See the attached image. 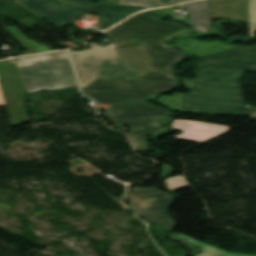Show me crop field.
Masks as SVG:
<instances>
[{
    "label": "crop field",
    "instance_id": "8a807250",
    "mask_svg": "<svg viewBox=\"0 0 256 256\" xmlns=\"http://www.w3.org/2000/svg\"><path fill=\"white\" fill-rule=\"evenodd\" d=\"M183 26L160 21L144 12L104 32L137 79L175 81L172 63L183 58L163 38Z\"/></svg>",
    "mask_w": 256,
    "mask_h": 256
},
{
    "label": "crop field",
    "instance_id": "e52e79f7",
    "mask_svg": "<svg viewBox=\"0 0 256 256\" xmlns=\"http://www.w3.org/2000/svg\"><path fill=\"white\" fill-rule=\"evenodd\" d=\"M91 50L71 52L76 72L81 82V89L99 78L136 79L112 44L102 48L93 43Z\"/></svg>",
    "mask_w": 256,
    "mask_h": 256
},
{
    "label": "crop field",
    "instance_id": "4a817a6b",
    "mask_svg": "<svg viewBox=\"0 0 256 256\" xmlns=\"http://www.w3.org/2000/svg\"><path fill=\"white\" fill-rule=\"evenodd\" d=\"M119 3L124 5L141 6L143 8H149L147 0H119Z\"/></svg>",
    "mask_w": 256,
    "mask_h": 256
},
{
    "label": "crop field",
    "instance_id": "dd49c442",
    "mask_svg": "<svg viewBox=\"0 0 256 256\" xmlns=\"http://www.w3.org/2000/svg\"><path fill=\"white\" fill-rule=\"evenodd\" d=\"M244 71L256 72V46L238 47L199 58V81L239 84Z\"/></svg>",
    "mask_w": 256,
    "mask_h": 256
},
{
    "label": "crop field",
    "instance_id": "d9b57169",
    "mask_svg": "<svg viewBox=\"0 0 256 256\" xmlns=\"http://www.w3.org/2000/svg\"><path fill=\"white\" fill-rule=\"evenodd\" d=\"M165 181L167 183L168 188L171 191L187 186L186 183L183 181V179L181 177L168 178Z\"/></svg>",
    "mask_w": 256,
    "mask_h": 256
},
{
    "label": "crop field",
    "instance_id": "22f410ed",
    "mask_svg": "<svg viewBox=\"0 0 256 256\" xmlns=\"http://www.w3.org/2000/svg\"><path fill=\"white\" fill-rule=\"evenodd\" d=\"M15 39H17L30 54L50 51L47 45H37L35 42L29 41L23 34H21L15 27L6 29Z\"/></svg>",
    "mask_w": 256,
    "mask_h": 256
},
{
    "label": "crop field",
    "instance_id": "bc2a9ffb",
    "mask_svg": "<svg viewBox=\"0 0 256 256\" xmlns=\"http://www.w3.org/2000/svg\"><path fill=\"white\" fill-rule=\"evenodd\" d=\"M151 12L156 15H174L172 11H166L165 9L152 10Z\"/></svg>",
    "mask_w": 256,
    "mask_h": 256
},
{
    "label": "crop field",
    "instance_id": "28ad6ade",
    "mask_svg": "<svg viewBox=\"0 0 256 256\" xmlns=\"http://www.w3.org/2000/svg\"><path fill=\"white\" fill-rule=\"evenodd\" d=\"M212 17L238 18L248 22L247 0H211Z\"/></svg>",
    "mask_w": 256,
    "mask_h": 256
},
{
    "label": "crop field",
    "instance_id": "412701ff",
    "mask_svg": "<svg viewBox=\"0 0 256 256\" xmlns=\"http://www.w3.org/2000/svg\"><path fill=\"white\" fill-rule=\"evenodd\" d=\"M26 94L78 86L66 51L16 59Z\"/></svg>",
    "mask_w": 256,
    "mask_h": 256
},
{
    "label": "crop field",
    "instance_id": "214f88e0",
    "mask_svg": "<svg viewBox=\"0 0 256 256\" xmlns=\"http://www.w3.org/2000/svg\"><path fill=\"white\" fill-rule=\"evenodd\" d=\"M169 171H170L169 165H168V164H165V165H163V167H162V173H161V175H164V174L168 173Z\"/></svg>",
    "mask_w": 256,
    "mask_h": 256
},
{
    "label": "crop field",
    "instance_id": "3316defc",
    "mask_svg": "<svg viewBox=\"0 0 256 256\" xmlns=\"http://www.w3.org/2000/svg\"><path fill=\"white\" fill-rule=\"evenodd\" d=\"M182 6L188 12L186 16L187 24L193 26L197 32L202 34L209 32L222 34L212 28L210 0H201Z\"/></svg>",
    "mask_w": 256,
    "mask_h": 256
},
{
    "label": "crop field",
    "instance_id": "92a150f3",
    "mask_svg": "<svg viewBox=\"0 0 256 256\" xmlns=\"http://www.w3.org/2000/svg\"><path fill=\"white\" fill-rule=\"evenodd\" d=\"M1 106H6V105H5V101H4L3 94L0 87V107Z\"/></svg>",
    "mask_w": 256,
    "mask_h": 256
},
{
    "label": "crop field",
    "instance_id": "5a996713",
    "mask_svg": "<svg viewBox=\"0 0 256 256\" xmlns=\"http://www.w3.org/2000/svg\"><path fill=\"white\" fill-rule=\"evenodd\" d=\"M172 126L174 129L185 131L184 133L176 136V139L195 142L208 140L230 129L226 126L183 120H174Z\"/></svg>",
    "mask_w": 256,
    "mask_h": 256
},
{
    "label": "crop field",
    "instance_id": "d8731c3e",
    "mask_svg": "<svg viewBox=\"0 0 256 256\" xmlns=\"http://www.w3.org/2000/svg\"><path fill=\"white\" fill-rule=\"evenodd\" d=\"M131 204L130 209L139 217L160 225L171 228L174 221L160 213L172 199L171 195L153 188L127 189L125 193Z\"/></svg>",
    "mask_w": 256,
    "mask_h": 256
},
{
    "label": "crop field",
    "instance_id": "f4fd0767",
    "mask_svg": "<svg viewBox=\"0 0 256 256\" xmlns=\"http://www.w3.org/2000/svg\"><path fill=\"white\" fill-rule=\"evenodd\" d=\"M17 2L54 26H67L76 21L85 11L92 10L100 15L101 30L141 10L136 7L93 4L94 2L86 0H17Z\"/></svg>",
    "mask_w": 256,
    "mask_h": 256
},
{
    "label": "crop field",
    "instance_id": "733c2abd",
    "mask_svg": "<svg viewBox=\"0 0 256 256\" xmlns=\"http://www.w3.org/2000/svg\"><path fill=\"white\" fill-rule=\"evenodd\" d=\"M151 8L154 7H162V6H169L172 4L180 3L183 1H188V0H149Z\"/></svg>",
    "mask_w": 256,
    "mask_h": 256
},
{
    "label": "crop field",
    "instance_id": "cbeb9de0",
    "mask_svg": "<svg viewBox=\"0 0 256 256\" xmlns=\"http://www.w3.org/2000/svg\"><path fill=\"white\" fill-rule=\"evenodd\" d=\"M178 235L188 239L189 242H191V243L203 246V252L198 254L197 256H254V255L227 253V252L222 251L218 248H215V247L210 246L208 244L202 243V242L197 241L195 239L189 238L187 236H184V235H181V234H178Z\"/></svg>",
    "mask_w": 256,
    "mask_h": 256
},
{
    "label": "crop field",
    "instance_id": "d1516ede",
    "mask_svg": "<svg viewBox=\"0 0 256 256\" xmlns=\"http://www.w3.org/2000/svg\"><path fill=\"white\" fill-rule=\"evenodd\" d=\"M177 45L182 48L189 57H199L202 55L238 47V45H227L219 40L204 42L193 39L175 40Z\"/></svg>",
    "mask_w": 256,
    "mask_h": 256
},
{
    "label": "crop field",
    "instance_id": "34b2d1b8",
    "mask_svg": "<svg viewBox=\"0 0 256 256\" xmlns=\"http://www.w3.org/2000/svg\"><path fill=\"white\" fill-rule=\"evenodd\" d=\"M189 91L160 96L159 101L184 113L253 115L256 108L245 107L240 85L183 81Z\"/></svg>",
    "mask_w": 256,
    "mask_h": 256
},
{
    "label": "crop field",
    "instance_id": "ac0d7876",
    "mask_svg": "<svg viewBox=\"0 0 256 256\" xmlns=\"http://www.w3.org/2000/svg\"><path fill=\"white\" fill-rule=\"evenodd\" d=\"M177 82L149 80L98 79L82 92L109 105L108 112L116 126L131 127L130 137L136 150H146L147 136L160 128L158 117L171 116L163 108L145 103V96L175 87Z\"/></svg>",
    "mask_w": 256,
    "mask_h": 256
},
{
    "label": "crop field",
    "instance_id": "00972430",
    "mask_svg": "<svg viewBox=\"0 0 256 256\" xmlns=\"http://www.w3.org/2000/svg\"><path fill=\"white\" fill-rule=\"evenodd\" d=\"M98 33H100V32H99V31H96V32H94L93 34L96 35V34H98Z\"/></svg>",
    "mask_w": 256,
    "mask_h": 256
},
{
    "label": "crop field",
    "instance_id": "a9b5d70f",
    "mask_svg": "<svg viewBox=\"0 0 256 256\" xmlns=\"http://www.w3.org/2000/svg\"><path fill=\"white\" fill-rule=\"evenodd\" d=\"M252 120H256V115L253 117V118H251Z\"/></svg>",
    "mask_w": 256,
    "mask_h": 256
},
{
    "label": "crop field",
    "instance_id": "dafd665d",
    "mask_svg": "<svg viewBox=\"0 0 256 256\" xmlns=\"http://www.w3.org/2000/svg\"><path fill=\"white\" fill-rule=\"evenodd\" d=\"M103 3L118 4V0H101Z\"/></svg>",
    "mask_w": 256,
    "mask_h": 256
},
{
    "label": "crop field",
    "instance_id": "5142ce71",
    "mask_svg": "<svg viewBox=\"0 0 256 256\" xmlns=\"http://www.w3.org/2000/svg\"><path fill=\"white\" fill-rule=\"evenodd\" d=\"M249 3V25L250 37L254 36L256 30V0H248Z\"/></svg>",
    "mask_w": 256,
    "mask_h": 256
}]
</instances>
